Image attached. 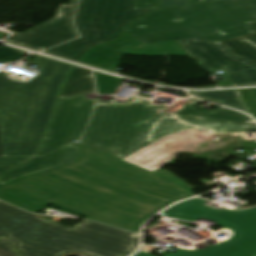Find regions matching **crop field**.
<instances>
[{
	"label": "crop field",
	"instance_id": "8a807250",
	"mask_svg": "<svg viewBox=\"0 0 256 256\" xmlns=\"http://www.w3.org/2000/svg\"><path fill=\"white\" fill-rule=\"evenodd\" d=\"M80 159L0 185V199L37 213L48 204L135 233L194 189L166 170L151 172L79 143ZM70 179V182L65 180Z\"/></svg>",
	"mask_w": 256,
	"mask_h": 256
},
{
	"label": "crop field",
	"instance_id": "ac0d7876",
	"mask_svg": "<svg viewBox=\"0 0 256 256\" xmlns=\"http://www.w3.org/2000/svg\"><path fill=\"white\" fill-rule=\"evenodd\" d=\"M86 94L60 100L39 157L1 177L0 184L77 160L80 153L74 140L123 159L163 137L194 127H256L242 122L198 121L136 97L118 104L88 100Z\"/></svg>",
	"mask_w": 256,
	"mask_h": 256
},
{
	"label": "crop field",
	"instance_id": "34b2d1b8",
	"mask_svg": "<svg viewBox=\"0 0 256 256\" xmlns=\"http://www.w3.org/2000/svg\"><path fill=\"white\" fill-rule=\"evenodd\" d=\"M0 237L17 241L24 256H128L139 244L138 235L91 221L71 229L1 201Z\"/></svg>",
	"mask_w": 256,
	"mask_h": 256
},
{
	"label": "crop field",
	"instance_id": "412701ff",
	"mask_svg": "<svg viewBox=\"0 0 256 256\" xmlns=\"http://www.w3.org/2000/svg\"><path fill=\"white\" fill-rule=\"evenodd\" d=\"M39 74L18 83L0 73V124L4 156L36 155L72 65L32 54Z\"/></svg>",
	"mask_w": 256,
	"mask_h": 256
},
{
	"label": "crop field",
	"instance_id": "f4fd0767",
	"mask_svg": "<svg viewBox=\"0 0 256 256\" xmlns=\"http://www.w3.org/2000/svg\"><path fill=\"white\" fill-rule=\"evenodd\" d=\"M249 21H256V0H189L188 7L156 9L124 31L143 44L194 37L216 42L253 32Z\"/></svg>",
	"mask_w": 256,
	"mask_h": 256
},
{
	"label": "crop field",
	"instance_id": "dd49c442",
	"mask_svg": "<svg viewBox=\"0 0 256 256\" xmlns=\"http://www.w3.org/2000/svg\"><path fill=\"white\" fill-rule=\"evenodd\" d=\"M205 200L181 202L163 212L167 217L198 221L200 218L223 226L215 231L218 243L204 250H178L168 256H256V208L233 211L205 208ZM135 256H150L138 252Z\"/></svg>",
	"mask_w": 256,
	"mask_h": 256
},
{
	"label": "crop field",
	"instance_id": "e52e79f7",
	"mask_svg": "<svg viewBox=\"0 0 256 256\" xmlns=\"http://www.w3.org/2000/svg\"><path fill=\"white\" fill-rule=\"evenodd\" d=\"M152 10H133L132 0H81L75 17L81 37L45 52L78 61L90 47L116 39L125 24Z\"/></svg>",
	"mask_w": 256,
	"mask_h": 256
},
{
	"label": "crop field",
	"instance_id": "d8731c3e",
	"mask_svg": "<svg viewBox=\"0 0 256 256\" xmlns=\"http://www.w3.org/2000/svg\"><path fill=\"white\" fill-rule=\"evenodd\" d=\"M179 42L207 73L225 70L234 85L256 84V65L232 56L222 45L197 38Z\"/></svg>",
	"mask_w": 256,
	"mask_h": 256
},
{
	"label": "crop field",
	"instance_id": "5a996713",
	"mask_svg": "<svg viewBox=\"0 0 256 256\" xmlns=\"http://www.w3.org/2000/svg\"><path fill=\"white\" fill-rule=\"evenodd\" d=\"M75 9L6 41L42 51L64 41L76 38L78 35L71 23Z\"/></svg>",
	"mask_w": 256,
	"mask_h": 256
},
{
	"label": "crop field",
	"instance_id": "3316defc",
	"mask_svg": "<svg viewBox=\"0 0 256 256\" xmlns=\"http://www.w3.org/2000/svg\"><path fill=\"white\" fill-rule=\"evenodd\" d=\"M203 134L201 132L183 131L161 139L124 160L153 171L183 152Z\"/></svg>",
	"mask_w": 256,
	"mask_h": 256
},
{
	"label": "crop field",
	"instance_id": "28ad6ade",
	"mask_svg": "<svg viewBox=\"0 0 256 256\" xmlns=\"http://www.w3.org/2000/svg\"><path fill=\"white\" fill-rule=\"evenodd\" d=\"M247 24L254 33L216 43L224 45L233 55L256 64V22Z\"/></svg>",
	"mask_w": 256,
	"mask_h": 256
},
{
	"label": "crop field",
	"instance_id": "d1516ede",
	"mask_svg": "<svg viewBox=\"0 0 256 256\" xmlns=\"http://www.w3.org/2000/svg\"><path fill=\"white\" fill-rule=\"evenodd\" d=\"M92 90H94L92 71L75 66L68 82L60 94V98Z\"/></svg>",
	"mask_w": 256,
	"mask_h": 256
},
{
	"label": "crop field",
	"instance_id": "22f410ed",
	"mask_svg": "<svg viewBox=\"0 0 256 256\" xmlns=\"http://www.w3.org/2000/svg\"><path fill=\"white\" fill-rule=\"evenodd\" d=\"M191 95L204 99L207 101H211L214 103H218L221 105H225L228 107H232L235 109L242 110L244 112L249 113L246 108L244 102L239 96L237 90H227V91H212V92H190Z\"/></svg>",
	"mask_w": 256,
	"mask_h": 256
},
{
	"label": "crop field",
	"instance_id": "cbeb9de0",
	"mask_svg": "<svg viewBox=\"0 0 256 256\" xmlns=\"http://www.w3.org/2000/svg\"><path fill=\"white\" fill-rule=\"evenodd\" d=\"M190 116L201 117V118H210V119H221V120H232V121H242L248 122L251 121L249 116H246L242 113L229 110L223 107L200 112Z\"/></svg>",
	"mask_w": 256,
	"mask_h": 256
},
{
	"label": "crop field",
	"instance_id": "5142ce71",
	"mask_svg": "<svg viewBox=\"0 0 256 256\" xmlns=\"http://www.w3.org/2000/svg\"><path fill=\"white\" fill-rule=\"evenodd\" d=\"M98 94H113L123 79L95 72Z\"/></svg>",
	"mask_w": 256,
	"mask_h": 256
},
{
	"label": "crop field",
	"instance_id": "d9b57169",
	"mask_svg": "<svg viewBox=\"0 0 256 256\" xmlns=\"http://www.w3.org/2000/svg\"><path fill=\"white\" fill-rule=\"evenodd\" d=\"M32 157L33 156L0 157V176L3 173L27 162Z\"/></svg>",
	"mask_w": 256,
	"mask_h": 256
},
{
	"label": "crop field",
	"instance_id": "733c2abd",
	"mask_svg": "<svg viewBox=\"0 0 256 256\" xmlns=\"http://www.w3.org/2000/svg\"><path fill=\"white\" fill-rule=\"evenodd\" d=\"M27 52L11 47H0V63L6 64L18 60Z\"/></svg>",
	"mask_w": 256,
	"mask_h": 256
},
{
	"label": "crop field",
	"instance_id": "4a817a6b",
	"mask_svg": "<svg viewBox=\"0 0 256 256\" xmlns=\"http://www.w3.org/2000/svg\"><path fill=\"white\" fill-rule=\"evenodd\" d=\"M250 113L256 118V88L238 90Z\"/></svg>",
	"mask_w": 256,
	"mask_h": 256
},
{
	"label": "crop field",
	"instance_id": "bc2a9ffb",
	"mask_svg": "<svg viewBox=\"0 0 256 256\" xmlns=\"http://www.w3.org/2000/svg\"><path fill=\"white\" fill-rule=\"evenodd\" d=\"M0 256H20L14 249V242L6 239L0 240Z\"/></svg>",
	"mask_w": 256,
	"mask_h": 256
},
{
	"label": "crop field",
	"instance_id": "214f88e0",
	"mask_svg": "<svg viewBox=\"0 0 256 256\" xmlns=\"http://www.w3.org/2000/svg\"><path fill=\"white\" fill-rule=\"evenodd\" d=\"M200 129V128H197ZM207 133H223V132H247L248 130H256V128H202Z\"/></svg>",
	"mask_w": 256,
	"mask_h": 256
},
{
	"label": "crop field",
	"instance_id": "92a150f3",
	"mask_svg": "<svg viewBox=\"0 0 256 256\" xmlns=\"http://www.w3.org/2000/svg\"><path fill=\"white\" fill-rule=\"evenodd\" d=\"M189 103L178 113L180 114H184V115H190V114H193V113H197V112H200L199 110L193 108L192 106L202 102V101H198V100H194V99H189L188 100ZM169 107H165L163 109H168Z\"/></svg>",
	"mask_w": 256,
	"mask_h": 256
},
{
	"label": "crop field",
	"instance_id": "dafd665d",
	"mask_svg": "<svg viewBox=\"0 0 256 256\" xmlns=\"http://www.w3.org/2000/svg\"><path fill=\"white\" fill-rule=\"evenodd\" d=\"M159 0H134L136 9L156 8Z\"/></svg>",
	"mask_w": 256,
	"mask_h": 256
},
{
	"label": "crop field",
	"instance_id": "00972430",
	"mask_svg": "<svg viewBox=\"0 0 256 256\" xmlns=\"http://www.w3.org/2000/svg\"><path fill=\"white\" fill-rule=\"evenodd\" d=\"M188 0H162L158 8L187 6Z\"/></svg>",
	"mask_w": 256,
	"mask_h": 256
},
{
	"label": "crop field",
	"instance_id": "a9b5d70f",
	"mask_svg": "<svg viewBox=\"0 0 256 256\" xmlns=\"http://www.w3.org/2000/svg\"><path fill=\"white\" fill-rule=\"evenodd\" d=\"M77 3H78V0H71L70 5H68V6H67V5H61V6L58 8V10H57L55 16H57V15H59V14H62V13H64V12L68 11V10H71V9L75 8V7L77 6Z\"/></svg>",
	"mask_w": 256,
	"mask_h": 256
},
{
	"label": "crop field",
	"instance_id": "4177f3b9",
	"mask_svg": "<svg viewBox=\"0 0 256 256\" xmlns=\"http://www.w3.org/2000/svg\"><path fill=\"white\" fill-rule=\"evenodd\" d=\"M0 156H3V152H2V142H1V133H0Z\"/></svg>",
	"mask_w": 256,
	"mask_h": 256
}]
</instances>
